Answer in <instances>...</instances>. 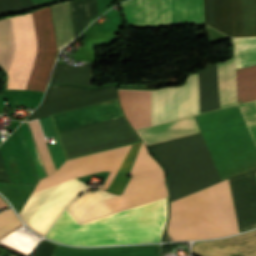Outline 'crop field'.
Wrapping results in <instances>:
<instances>
[{
	"instance_id": "crop-field-1",
	"label": "crop field",
	"mask_w": 256,
	"mask_h": 256,
	"mask_svg": "<svg viewBox=\"0 0 256 256\" xmlns=\"http://www.w3.org/2000/svg\"><path fill=\"white\" fill-rule=\"evenodd\" d=\"M141 143L65 161L56 172L40 180L33 192L74 177L97 171H111L102 185L105 188L124 149L116 171L106 186L109 192L121 194ZM129 175L132 177L121 196L100 189L93 193L84 191L66 209L81 224L167 196L164 171L149 155L144 142ZM86 187L83 182L74 178L38 191L31 194L18 214L32 230L44 236L63 209ZM110 197L114 198L107 199Z\"/></svg>"
},
{
	"instance_id": "crop-field-2",
	"label": "crop field",
	"mask_w": 256,
	"mask_h": 256,
	"mask_svg": "<svg viewBox=\"0 0 256 256\" xmlns=\"http://www.w3.org/2000/svg\"><path fill=\"white\" fill-rule=\"evenodd\" d=\"M235 69L256 64V38L233 39ZM221 108L237 104L233 58L218 64ZM217 64L198 72L201 113L219 109ZM238 104L255 99L253 66L235 70ZM197 73L180 86L181 118L199 114ZM135 130L150 125L151 91L117 90ZM179 86L152 91L151 125L180 118ZM193 117L137 130L146 145L197 133Z\"/></svg>"
},
{
	"instance_id": "crop-field-3",
	"label": "crop field",
	"mask_w": 256,
	"mask_h": 256,
	"mask_svg": "<svg viewBox=\"0 0 256 256\" xmlns=\"http://www.w3.org/2000/svg\"><path fill=\"white\" fill-rule=\"evenodd\" d=\"M37 45L32 27V21ZM26 15L0 20V65L8 76L7 89L44 91L55 56L58 52L51 8L45 7Z\"/></svg>"
},
{
	"instance_id": "crop-field-4",
	"label": "crop field",
	"mask_w": 256,
	"mask_h": 256,
	"mask_svg": "<svg viewBox=\"0 0 256 256\" xmlns=\"http://www.w3.org/2000/svg\"><path fill=\"white\" fill-rule=\"evenodd\" d=\"M128 25L201 23L200 0H127ZM202 23L231 37L256 36V0H201Z\"/></svg>"
},
{
	"instance_id": "crop-field-5",
	"label": "crop field",
	"mask_w": 256,
	"mask_h": 256,
	"mask_svg": "<svg viewBox=\"0 0 256 256\" xmlns=\"http://www.w3.org/2000/svg\"><path fill=\"white\" fill-rule=\"evenodd\" d=\"M165 219L166 198L81 225L65 209L46 237L84 246L160 241Z\"/></svg>"
},
{
	"instance_id": "crop-field-6",
	"label": "crop field",
	"mask_w": 256,
	"mask_h": 256,
	"mask_svg": "<svg viewBox=\"0 0 256 256\" xmlns=\"http://www.w3.org/2000/svg\"><path fill=\"white\" fill-rule=\"evenodd\" d=\"M238 106L256 143V101ZM238 106L195 116L222 180L256 168V145Z\"/></svg>"
},
{
	"instance_id": "crop-field-7",
	"label": "crop field",
	"mask_w": 256,
	"mask_h": 256,
	"mask_svg": "<svg viewBox=\"0 0 256 256\" xmlns=\"http://www.w3.org/2000/svg\"><path fill=\"white\" fill-rule=\"evenodd\" d=\"M122 115L116 99L52 118L58 132ZM57 136L66 160L141 141L124 116L58 132Z\"/></svg>"
},
{
	"instance_id": "crop-field-8",
	"label": "crop field",
	"mask_w": 256,
	"mask_h": 256,
	"mask_svg": "<svg viewBox=\"0 0 256 256\" xmlns=\"http://www.w3.org/2000/svg\"><path fill=\"white\" fill-rule=\"evenodd\" d=\"M167 231L173 241L238 233L227 180L171 202Z\"/></svg>"
},
{
	"instance_id": "crop-field-9",
	"label": "crop field",
	"mask_w": 256,
	"mask_h": 256,
	"mask_svg": "<svg viewBox=\"0 0 256 256\" xmlns=\"http://www.w3.org/2000/svg\"><path fill=\"white\" fill-rule=\"evenodd\" d=\"M150 148L170 173L169 202L221 181L201 133Z\"/></svg>"
},
{
	"instance_id": "crop-field-10",
	"label": "crop field",
	"mask_w": 256,
	"mask_h": 256,
	"mask_svg": "<svg viewBox=\"0 0 256 256\" xmlns=\"http://www.w3.org/2000/svg\"><path fill=\"white\" fill-rule=\"evenodd\" d=\"M24 131L27 135L29 143L32 147L34 155L37 159L39 167L42 171L43 176H46L45 171L43 169L40 157L38 155L35 143L33 141L30 129L27 123L22 124ZM20 125L19 128L23 135L24 141L30 153L31 159L37 171L39 179L43 178L41 171L38 167L36 159L33 155L31 147L28 143L26 135L23 131V128ZM17 128L6 141H4L0 146V152L3 157L8 175L10 177L12 184H20V185H31L36 186L39 181L37 174L35 172L34 166L28 154L27 148L21 136L20 130Z\"/></svg>"
},
{
	"instance_id": "crop-field-11",
	"label": "crop field",
	"mask_w": 256,
	"mask_h": 256,
	"mask_svg": "<svg viewBox=\"0 0 256 256\" xmlns=\"http://www.w3.org/2000/svg\"><path fill=\"white\" fill-rule=\"evenodd\" d=\"M117 98L115 86L86 89L71 85L48 87L43 103L25 121Z\"/></svg>"
},
{
	"instance_id": "crop-field-12",
	"label": "crop field",
	"mask_w": 256,
	"mask_h": 256,
	"mask_svg": "<svg viewBox=\"0 0 256 256\" xmlns=\"http://www.w3.org/2000/svg\"><path fill=\"white\" fill-rule=\"evenodd\" d=\"M229 182L239 232L256 227V171Z\"/></svg>"
},
{
	"instance_id": "crop-field-13",
	"label": "crop field",
	"mask_w": 256,
	"mask_h": 256,
	"mask_svg": "<svg viewBox=\"0 0 256 256\" xmlns=\"http://www.w3.org/2000/svg\"><path fill=\"white\" fill-rule=\"evenodd\" d=\"M192 253L200 256H256V230L216 241L194 243Z\"/></svg>"
},
{
	"instance_id": "crop-field-14",
	"label": "crop field",
	"mask_w": 256,
	"mask_h": 256,
	"mask_svg": "<svg viewBox=\"0 0 256 256\" xmlns=\"http://www.w3.org/2000/svg\"><path fill=\"white\" fill-rule=\"evenodd\" d=\"M52 256H158V245L82 249L56 246Z\"/></svg>"
},
{
	"instance_id": "crop-field-15",
	"label": "crop field",
	"mask_w": 256,
	"mask_h": 256,
	"mask_svg": "<svg viewBox=\"0 0 256 256\" xmlns=\"http://www.w3.org/2000/svg\"><path fill=\"white\" fill-rule=\"evenodd\" d=\"M93 67L56 65L49 84L91 87Z\"/></svg>"
},
{
	"instance_id": "crop-field-16",
	"label": "crop field",
	"mask_w": 256,
	"mask_h": 256,
	"mask_svg": "<svg viewBox=\"0 0 256 256\" xmlns=\"http://www.w3.org/2000/svg\"><path fill=\"white\" fill-rule=\"evenodd\" d=\"M58 48L74 39L68 1L52 5Z\"/></svg>"
},
{
	"instance_id": "crop-field-17",
	"label": "crop field",
	"mask_w": 256,
	"mask_h": 256,
	"mask_svg": "<svg viewBox=\"0 0 256 256\" xmlns=\"http://www.w3.org/2000/svg\"><path fill=\"white\" fill-rule=\"evenodd\" d=\"M44 163L47 174L55 171L38 120L28 122Z\"/></svg>"
},
{
	"instance_id": "crop-field-18",
	"label": "crop field",
	"mask_w": 256,
	"mask_h": 256,
	"mask_svg": "<svg viewBox=\"0 0 256 256\" xmlns=\"http://www.w3.org/2000/svg\"><path fill=\"white\" fill-rule=\"evenodd\" d=\"M31 6L54 0H28ZM27 0H0V15L31 7Z\"/></svg>"
},
{
	"instance_id": "crop-field-19",
	"label": "crop field",
	"mask_w": 256,
	"mask_h": 256,
	"mask_svg": "<svg viewBox=\"0 0 256 256\" xmlns=\"http://www.w3.org/2000/svg\"><path fill=\"white\" fill-rule=\"evenodd\" d=\"M20 221L15 216L13 211L10 210H4L0 213V237L10 231L11 229L18 226Z\"/></svg>"
},
{
	"instance_id": "crop-field-20",
	"label": "crop field",
	"mask_w": 256,
	"mask_h": 256,
	"mask_svg": "<svg viewBox=\"0 0 256 256\" xmlns=\"http://www.w3.org/2000/svg\"><path fill=\"white\" fill-rule=\"evenodd\" d=\"M55 246L53 243L42 240L35 256H51Z\"/></svg>"
},
{
	"instance_id": "crop-field-21",
	"label": "crop field",
	"mask_w": 256,
	"mask_h": 256,
	"mask_svg": "<svg viewBox=\"0 0 256 256\" xmlns=\"http://www.w3.org/2000/svg\"><path fill=\"white\" fill-rule=\"evenodd\" d=\"M7 207V204L0 198V209Z\"/></svg>"
},
{
	"instance_id": "crop-field-22",
	"label": "crop field",
	"mask_w": 256,
	"mask_h": 256,
	"mask_svg": "<svg viewBox=\"0 0 256 256\" xmlns=\"http://www.w3.org/2000/svg\"><path fill=\"white\" fill-rule=\"evenodd\" d=\"M4 251V249L0 248V253H2Z\"/></svg>"
},
{
	"instance_id": "crop-field-23",
	"label": "crop field",
	"mask_w": 256,
	"mask_h": 256,
	"mask_svg": "<svg viewBox=\"0 0 256 256\" xmlns=\"http://www.w3.org/2000/svg\"><path fill=\"white\" fill-rule=\"evenodd\" d=\"M234 256H240V255L238 254V255H234Z\"/></svg>"
}]
</instances>
